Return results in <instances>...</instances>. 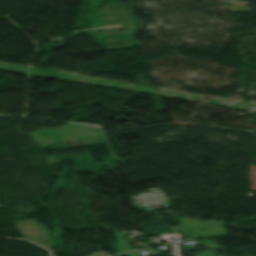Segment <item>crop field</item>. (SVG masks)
Listing matches in <instances>:
<instances>
[{
	"label": "crop field",
	"instance_id": "crop-field-1",
	"mask_svg": "<svg viewBox=\"0 0 256 256\" xmlns=\"http://www.w3.org/2000/svg\"><path fill=\"white\" fill-rule=\"evenodd\" d=\"M180 221L182 222V224L180 226L173 227L174 230H181V229L213 222V221H204V220H198V219L188 220L184 218H181Z\"/></svg>",
	"mask_w": 256,
	"mask_h": 256
},
{
	"label": "crop field",
	"instance_id": "crop-field-2",
	"mask_svg": "<svg viewBox=\"0 0 256 256\" xmlns=\"http://www.w3.org/2000/svg\"><path fill=\"white\" fill-rule=\"evenodd\" d=\"M222 231V233L216 235L215 233ZM226 232L224 231L223 228L220 229H215V230H209V231H204V232H200V233H196V234H192L190 236L192 237H196V236H202L204 238H208V237H214V236H220L225 234Z\"/></svg>",
	"mask_w": 256,
	"mask_h": 256
},
{
	"label": "crop field",
	"instance_id": "crop-field-3",
	"mask_svg": "<svg viewBox=\"0 0 256 256\" xmlns=\"http://www.w3.org/2000/svg\"><path fill=\"white\" fill-rule=\"evenodd\" d=\"M202 243L205 244L206 246H208V247L210 248V250H209L208 252L200 253V254H198V255H196V256H213V255H215L216 253L213 252L212 250H213L214 248L220 249L219 247L213 245L212 243H210V242H208V241H203ZM208 243L211 244V245H208Z\"/></svg>",
	"mask_w": 256,
	"mask_h": 256
},
{
	"label": "crop field",
	"instance_id": "crop-field-4",
	"mask_svg": "<svg viewBox=\"0 0 256 256\" xmlns=\"http://www.w3.org/2000/svg\"><path fill=\"white\" fill-rule=\"evenodd\" d=\"M223 224H224L223 222H218V223H215V224L206 225V226L197 227V228H200L199 230H201V229L210 228V227H214V226H219V225H223ZM193 229H195V228L188 229V230H183L182 233H188V232H192V231H197V230H193Z\"/></svg>",
	"mask_w": 256,
	"mask_h": 256
}]
</instances>
